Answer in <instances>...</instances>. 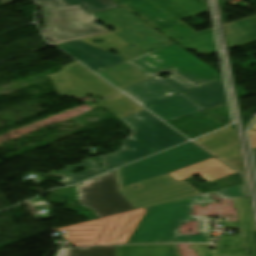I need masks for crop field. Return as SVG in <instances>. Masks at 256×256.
<instances>
[{"label": "crop field", "instance_id": "1", "mask_svg": "<svg viewBox=\"0 0 256 256\" xmlns=\"http://www.w3.org/2000/svg\"><path fill=\"white\" fill-rule=\"evenodd\" d=\"M122 120L132 128L131 136L122 143V149L116 154L98 157L103 160V168L98 167L93 159H89L83 161L82 165L68 166L65 171L50 172L47 175L63 177L64 181L60 183L68 186L82 178H89L186 140L144 110ZM151 148L156 150L152 151ZM80 167L87 171L73 175V171Z\"/></svg>", "mask_w": 256, "mask_h": 256}, {"label": "crop field", "instance_id": "2", "mask_svg": "<svg viewBox=\"0 0 256 256\" xmlns=\"http://www.w3.org/2000/svg\"><path fill=\"white\" fill-rule=\"evenodd\" d=\"M185 49L216 54L213 30L196 33L180 20L207 13L206 0H114ZM178 21L174 26L171 23Z\"/></svg>", "mask_w": 256, "mask_h": 256}, {"label": "crop field", "instance_id": "3", "mask_svg": "<svg viewBox=\"0 0 256 256\" xmlns=\"http://www.w3.org/2000/svg\"><path fill=\"white\" fill-rule=\"evenodd\" d=\"M214 202L209 193L179 201L152 206L129 243L145 242H210L206 217L190 216L191 205ZM199 221V236H181L176 232L187 221Z\"/></svg>", "mask_w": 256, "mask_h": 256}, {"label": "crop field", "instance_id": "4", "mask_svg": "<svg viewBox=\"0 0 256 256\" xmlns=\"http://www.w3.org/2000/svg\"><path fill=\"white\" fill-rule=\"evenodd\" d=\"M128 62L150 78L176 68L168 73L194 88L220 79V74L172 42Z\"/></svg>", "mask_w": 256, "mask_h": 256}, {"label": "crop field", "instance_id": "5", "mask_svg": "<svg viewBox=\"0 0 256 256\" xmlns=\"http://www.w3.org/2000/svg\"><path fill=\"white\" fill-rule=\"evenodd\" d=\"M190 89L193 88L171 75L167 80L156 77L122 91L135 101L141 103L145 108L167 121L195 111L203 110L184 94L161 99Z\"/></svg>", "mask_w": 256, "mask_h": 256}, {"label": "crop field", "instance_id": "6", "mask_svg": "<svg viewBox=\"0 0 256 256\" xmlns=\"http://www.w3.org/2000/svg\"><path fill=\"white\" fill-rule=\"evenodd\" d=\"M37 1L42 8L45 23L42 32L51 39V43L58 44L111 32L92 24L96 20L91 14L86 15L80 6L68 7L63 0Z\"/></svg>", "mask_w": 256, "mask_h": 256}, {"label": "crop field", "instance_id": "7", "mask_svg": "<svg viewBox=\"0 0 256 256\" xmlns=\"http://www.w3.org/2000/svg\"><path fill=\"white\" fill-rule=\"evenodd\" d=\"M144 212V209H136L95 222L67 226L59 231H65L63 240H69L73 245H94L100 234L96 245L123 244L127 243Z\"/></svg>", "mask_w": 256, "mask_h": 256}, {"label": "crop field", "instance_id": "8", "mask_svg": "<svg viewBox=\"0 0 256 256\" xmlns=\"http://www.w3.org/2000/svg\"><path fill=\"white\" fill-rule=\"evenodd\" d=\"M91 14L95 19L102 21L103 24L112 26L115 29L113 32L129 44L126 47L115 49L126 60L170 42L122 7L103 13ZM130 44H133L136 48H132Z\"/></svg>", "mask_w": 256, "mask_h": 256}, {"label": "crop field", "instance_id": "9", "mask_svg": "<svg viewBox=\"0 0 256 256\" xmlns=\"http://www.w3.org/2000/svg\"><path fill=\"white\" fill-rule=\"evenodd\" d=\"M209 157L212 156L189 142L148 159L119 168L121 185L123 187L160 176Z\"/></svg>", "mask_w": 256, "mask_h": 256}, {"label": "crop field", "instance_id": "10", "mask_svg": "<svg viewBox=\"0 0 256 256\" xmlns=\"http://www.w3.org/2000/svg\"><path fill=\"white\" fill-rule=\"evenodd\" d=\"M234 207L238 209L239 223L220 220L223 227L239 229L235 239L221 237L216 254L217 256H256L252 232L255 231L249 199H234ZM198 256H214L213 251L206 244H191Z\"/></svg>", "mask_w": 256, "mask_h": 256}, {"label": "crop field", "instance_id": "11", "mask_svg": "<svg viewBox=\"0 0 256 256\" xmlns=\"http://www.w3.org/2000/svg\"><path fill=\"white\" fill-rule=\"evenodd\" d=\"M194 189L184 181L176 182L166 174L123 187L120 191L134 207L148 209L152 205L200 194Z\"/></svg>", "mask_w": 256, "mask_h": 256}, {"label": "crop field", "instance_id": "12", "mask_svg": "<svg viewBox=\"0 0 256 256\" xmlns=\"http://www.w3.org/2000/svg\"><path fill=\"white\" fill-rule=\"evenodd\" d=\"M58 74L50 75L56 91L61 96L74 97L76 99L88 95L102 99L119 94L106 83L98 79L96 75L87 71L77 62L63 66Z\"/></svg>", "mask_w": 256, "mask_h": 256}, {"label": "crop field", "instance_id": "13", "mask_svg": "<svg viewBox=\"0 0 256 256\" xmlns=\"http://www.w3.org/2000/svg\"><path fill=\"white\" fill-rule=\"evenodd\" d=\"M76 188L80 204L94 211H108L110 216L135 210L117 191L115 174L112 172L88 180Z\"/></svg>", "mask_w": 256, "mask_h": 256}, {"label": "crop field", "instance_id": "14", "mask_svg": "<svg viewBox=\"0 0 256 256\" xmlns=\"http://www.w3.org/2000/svg\"><path fill=\"white\" fill-rule=\"evenodd\" d=\"M58 46L95 72L109 69L126 61L119 54L108 53L80 40L66 42Z\"/></svg>", "mask_w": 256, "mask_h": 256}, {"label": "crop field", "instance_id": "15", "mask_svg": "<svg viewBox=\"0 0 256 256\" xmlns=\"http://www.w3.org/2000/svg\"><path fill=\"white\" fill-rule=\"evenodd\" d=\"M236 173L229 167L212 157L196 164L168 173L176 181L185 180L195 175L201 176L208 182Z\"/></svg>", "mask_w": 256, "mask_h": 256}, {"label": "crop field", "instance_id": "16", "mask_svg": "<svg viewBox=\"0 0 256 256\" xmlns=\"http://www.w3.org/2000/svg\"><path fill=\"white\" fill-rule=\"evenodd\" d=\"M196 143L222 160L240 154L236 131L230 128L199 139Z\"/></svg>", "mask_w": 256, "mask_h": 256}, {"label": "crop field", "instance_id": "17", "mask_svg": "<svg viewBox=\"0 0 256 256\" xmlns=\"http://www.w3.org/2000/svg\"><path fill=\"white\" fill-rule=\"evenodd\" d=\"M224 25L229 49L256 41V15Z\"/></svg>", "mask_w": 256, "mask_h": 256}, {"label": "crop field", "instance_id": "18", "mask_svg": "<svg viewBox=\"0 0 256 256\" xmlns=\"http://www.w3.org/2000/svg\"><path fill=\"white\" fill-rule=\"evenodd\" d=\"M98 74L120 90L129 87L139 81L148 79L145 75L140 73L126 62L112 69L102 71Z\"/></svg>", "mask_w": 256, "mask_h": 256}, {"label": "crop field", "instance_id": "19", "mask_svg": "<svg viewBox=\"0 0 256 256\" xmlns=\"http://www.w3.org/2000/svg\"><path fill=\"white\" fill-rule=\"evenodd\" d=\"M186 94L205 108L227 102L223 80L193 89Z\"/></svg>", "mask_w": 256, "mask_h": 256}, {"label": "crop field", "instance_id": "20", "mask_svg": "<svg viewBox=\"0 0 256 256\" xmlns=\"http://www.w3.org/2000/svg\"><path fill=\"white\" fill-rule=\"evenodd\" d=\"M118 256H180L177 244L117 246Z\"/></svg>", "mask_w": 256, "mask_h": 256}, {"label": "crop field", "instance_id": "21", "mask_svg": "<svg viewBox=\"0 0 256 256\" xmlns=\"http://www.w3.org/2000/svg\"><path fill=\"white\" fill-rule=\"evenodd\" d=\"M87 104L93 109L104 106L119 118L142 110L139 106L122 95L109 98L94 105H91L90 103Z\"/></svg>", "mask_w": 256, "mask_h": 256}, {"label": "crop field", "instance_id": "22", "mask_svg": "<svg viewBox=\"0 0 256 256\" xmlns=\"http://www.w3.org/2000/svg\"><path fill=\"white\" fill-rule=\"evenodd\" d=\"M56 256H115V246L64 248Z\"/></svg>", "mask_w": 256, "mask_h": 256}, {"label": "crop field", "instance_id": "23", "mask_svg": "<svg viewBox=\"0 0 256 256\" xmlns=\"http://www.w3.org/2000/svg\"><path fill=\"white\" fill-rule=\"evenodd\" d=\"M94 39L102 40V41H104V43H102V44H94V43L91 42ZM81 40L84 41V42H87L89 44H92V45H94L96 47H99V48H101L103 50H112V49H115V48H119V47L128 45L127 43H125L122 39H120L113 32H111L109 34L95 36V37L81 39Z\"/></svg>", "mask_w": 256, "mask_h": 256}, {"label": "crop field", "instance_id": "24", "mask_svg": "<svg viewBox=\"0 0 256 256\" xmlns=\"http://www.w3.org/2000/svg\"><path fill=\"white\" fill-rule=\"evenodd\" d=\"M68 4L81 3L87 11H103L119 6L112 0H66Z\"/></svg>", "mask_w": 256, "mask_h": 256}, {"label": "crop field", "instance_id": "25", "mask_svg": "<svg viewBox=\"0 0 256 256\" xmlns=\"http://www.w3.org/2000/svg\"><path fill=\"white\" fill-rule=\"evenodd\" d=\"M215 193L224 199L245 196L243 185H239V186L228 188V189H223Z\"/></svg>", "mask_w": 256, "mask_h": 256}, {"label": "crop field", "instance_id": "26", "mask_svg": "<svg viewBox=\"0 0 256 256\" xmlns=\"http://www.w3.org/2000/svg\"><path fill=\"white\" fill-rule=\"evenodd\" d=\"M224 161L244 174L240 155Z\"/></svg>", "mask_w": 256, "mask_h": 256}, {"label": "crop field", "instance_id": "27", "mask_svg": "<svg viewBox=\"0 0 256 256\" xmlns=\"http://www.w3.org/2000/svg\"><path fill=\"white\" fill-rule=\"evenodd\" d=\"M249 137H250L252 149L256 148V131L249 130Z\"/></svg>", "mask_w": 256, "mask_h": 256}, {"label": "crop field", "instance_id": "28", "mask_svg": "<svg viewBox=\"0 0 256 256\" xmlns=\"http://www.w3.org/2000/svg\"><path fill=\"white\" fill-rule=\"evenodd\" d=\"M95 214L99 218L108 216L107 212H95Z\"/></svg>", "mask_w": 256, "mask_h": 256}, {"label": "crop field", "instance_id": "29", "mask_svg": "<svg viewBox=\"0 0 256 256\" xmlns=\"http://www.w3.org/2000/svg\"><path fill=\"white\" fill-rule=\"evenodd\" d=\"M253 152H254V158H255V164H256V149H254Z\"/></svg>", "mask_w": 256, "mask_h": 256}, {"label": "crop field", "instance_id": "30", "mask_svg": "<svg viewBox=\"0 0 256 256\" xmlns=\"http://www.w3.org/2000/svg\"><path fill=\"white\" fill-rule=\"evenodd\" d=\"M252 128H255V129H256V122L254 123V125L252 126Z\"/></svg>", "mask_w": 256, "mask_h": 256}]
</instances>
